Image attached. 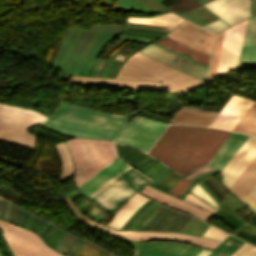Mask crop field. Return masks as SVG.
<instances>
[{
    "instance_id": "1",
    "label": "crop field",
    "mask_w": 256,
    "mask_h": 256,
    "mask_svg": "<svg viewBox=\"0 0 256 256\" xmlns=\"http://www.w3.org/2000/svg\"><path fill=\"white\" fill-rule=\"evenodd\" d=\"M229 133L210 128L170 125L148 153L185 174L207 164Z\"/></svg>"
},
{
    "instance_id": "2",
    "label": "crop field",
    "mask_w": 256,
    "mask_h": 256,
    "mask_svg": "<svg viewBox=\"0 0 256 256\" xmlns=\"http://www.w3.org/2000/svg\"><path fill=\"white\" fill-rule=\"evenodd\" d=\"M124 124L125 116L103 114L62 104L41 125L74 137L113 140Z\"/></svg>"
},
{
    "instance_id": "3",
    "label": "crop field",
    "mask_w": 256,
    "mask_h": 256,
    "mask_svg": "<svg viewBox=\"0 0 256 256\" xmlns=\"http://www.w3.org/2000/svg\"><path fill=\"white\" fill-rule=\"evenodd\" d=\"M75 165L76 187L116 156L113 143L74 139L66 141Z\"/></svg>"
},
{
    "instance_id": "4",
    "label": "crop field",
    "mask_w": 256,
    "mask_h": 256,
    "mask_svg": "<svg viewBox=\"0 0 256 256\" xmlns=\"http://www.w3.org/2000/svg\"><path fill=\"white\" fill-rule=\"evenodd\" d=\"M46 117L25 109L0 104V141L34 149L36 139L26 130Z\"/></svg>"
},
{
    "instance_id": "5",
    "label": "crop field",
    "mask_w": 256,
    "mask_h": 256,
    "mask_svg": "<svg viewBox=\"0 0 256 256\" xmlns=\"http://www.w3.org/2000/svg\"><path fill=\"white\" fill-rule=\"evenodd\" d=\"M150 181L131 167L91 199L103 208L115 211L127 198Z\"/></svg>"
},
{
    "instance_id": "6",
    "label": "crop field",
    "mask_w": 256,
    "mask_h": 256,
    "mask_svg": "<svg viewBox=\"0 0 256 256\" xmlns=\"http://www.w3.org/2000/svg\"><path fill=\"white\" fill-rule=\"evenodd\" d=\"M3 236L16 256H63L48 248L37 234L0 220Z\"/></svg>"
},
{
    "instance_id": "7",
    "label": "crop field",
    "mask_w": 256,
    "mask_h": 256,
    "mask_svg": "<svg viewBox=\"0 0 256 256\" xmlns=\"http://www.w3.org/2000/svg\"><path fill=\"white\" fill-rule=\"evenodd\" d=\"M92 224L98 226L103 231L115 237H122L126 239L137 240V241L174 240V241L188 242V243L196 244V245L203 246L210 249H213L215 246H217L220 243L218 241L186 235V234L154 233V232H143V231H115L110 228L104 227L94 221L92 222Z\"/></svg>"
},
{
    "instance_id": "8",
    "label": "crop field",
    "mask_w": 256,
    "mask_h": 256,
    "mask_svg": "<svg viewBox=\"0 0 256 256\" xmlns=\"http://www.w3.org/2000/svg\"><path fill=\"white\" fill-rule=\"evenodd\" d=\"M168 36L210 56L214 34L184 21Z\"/></svg>"
},
{
    "instance_id": "9",
    "label": "crop field",
    "mask_w": 256,
    "mask_h": 256,
    "mask_svg": "<svg viewBox=\"0 0 256 256\" xmlns=\"http://www.w3.org/2000/svg\"><path fill=\"white\" fill-rule=\"evenodd\" d=\"M245 21L225 30L216 74L222 70L236 68Z\"/></svg>"
},
{
    "instance_id": "10",
    "label": "crop field",
    "mask_w": 256,
    "mask_h": 256,
    "mask_svg": "<svg viewBox=\"0 0 256 256\" xmlns=\"http://www.w3.org/2000/svg\"><path fill=\"white\" fill-rule=\"evenodd\" d=\"M130 167L121 159L116 158L80 185L79 189L82 194L91 198Z\"/></svg>"
},
{
    "instance_id": "11",
    "label": "crop field",
    "mask_w": 256,
    "mask_h": 256,
    "mask_svg": "<svg viewBox=\"0 0 256 256\" xmlns=\"http://www.w3.org/2000/svg\"><path fill=\"white\" fill-rule=\"evenodd\" d=\"M256 155V136L250 135L222 171L224 184L229 188Z\"/></svg>"
},
{
    "instance_id": "12",
    "label": "crop field",
    "mask_w": 256,
    "mask_h": 256,
    "mask_svg": "<svg viewBox=\"0 0 256 256\" xmlns=\"http://www.w3.org/2000/svg\"><path fill=\"white\" fill-rule=\"evenodd\" d=\"M202 249L173 242L137 244L135 256H195Z\"/></svg>"
},
{
    "instance_id": "13",
    "label": "crop field",
    "mask_w": 256,
    "mask_h": 256,
    "mask_svg": "<svg viewBox=\"0 0 256 256\" xmlns=\"http://www.w3.org/2000/svg\"><path fill=\"white\" fill-rule=\"evenodd\" d=\"M166 125V123L144 117L125 144L147 151Z\"/></svg>"
},
{
    "instance_id": "14",
    "label": "crop field",
    "mask_w": 256,
    "mask_h": 256,
    "mask_svg": "<svg viewBox=\"0 0 256 256\" xmlns=\"http://www.w3.org/2000/svg\"><path fill=\"white\" fill-rule=\"evenodd\" d=\"M252 103L253 101L245 98L232 96L221 113L219 112L220 114L209 126L232 130Z\"/></svg>"
},
{
    "instance_id": "15",
    "label": "crop field",
    "mask_w": 256,
    "mask_h": 256,
    "mask_svg": "<svg viewBox=\"0 0 256 256\" xmlns=\"http://www.w3.org/2000/svg\"><path fill=\"white\" fill-rule=\"evenodd\" d=\"M140 51L205 81L207 72L206 69L168 51H165L153 44L146 46Z\"/></svg>"
},
{
    "instance_id": "16",
    "label": "crop field",
    "mask_w": 256,
    "mask_h": 256,
    "mask_svg": "<svg viewBox=\"0 0 256 256\" xmlns=\"http://www.w3.org/2000/svg\"><path fill=\"white\" fill-rule=\"evenodd\" d=\"M140 193L158 201L161 202L167 206H170L174 209L180 210L182 212L188 213L190 215H193L197 218H200L204 221H207L208 218L211 216V213L198 208L194 205H191L189 203H186L180 199H177L175 197L169 196L161 191H158L148 185L145 186V189L141 191Z\"/></svg>"
},
{
    "instance_id": "17",
    "label": "crop field",
    "mask_w": 256,
    "mask_h": 256,
    "mask_svg": "<svg viewBox=\"0 0 256 256\" xmlns=\"http://www.w3.org/2000/svg\"><path fill=\"white\" fill-rule=\"evenodd\" d=\"M256 67V16L246 21L237 68Z\"/></svg>"
},
{
    "instance_id": "18",
    "label": "crop field",
    "mask_w": 256,
    "mask_h": 256,
    "mask_svg": "<svg viewBox=\"0 0 256 256\" xmlns=\"http://www.w3.org/2000/svg\"><path fill=\"white\" fill-rule=\"evenodd\" d=\"M249 135L231 132L208 165L222 171Z\"/></svg>"
},
{
    "instance_id": "19",
    "label": "crop field",
    "mask_w": 256,
    "mask_h": 256,
    "mask_svg": "<svg viewBox=\"0 0 256 256\" xmlns=\"http://www.w3.org/2000/svg\"><path fill=\"white\" fill-rule=\"evenodd\" d=\"M217 113L182 107L170 123L207 126Z\"/></svg>"
},
{
    "instance_id": "20",
    "label": "crop field",
    "mask_w": 256,
    "mask_h": 256,
    "mask_svg": "<svg viewBox=\"0 0 256 256\" xmlns=\"http://www.w3.org/2000/svg\"><path fill=\"white\" fill-rule=\"evenodd\" d=\"M231 195H229V196H227V197H225L224 199L225 200H227V201H229L231 204H232V206L235 208V209H237V207L229 200V199H231L239 208H240V206L235 202V201H237L236 199H234L232 196V198L235 200H233L231 197H230ZM229 198V199H228ZM224 199H222L221 200V203H220V205H219V208L218 209H220L222 212H224L225 214H227L228 216H230L231 218H233L235 221H237L239 224H241L242 226L243 225H245V224H247L245 221H243L241 218H240V216L236 213V211L231 207V205L228 203V202H226ZM238 202V201H237ZM239 204H241L240 202H238ZM242 205V204H241ZM242 206H244V205H242ZM217 209V211L220 213V214H222L223 216H225L227 219H229L231 222H233L234 224H236L238 227H242V226H240L238 223H236L234 220H232L230 217H228L227 215H225L224 213H222L221 211H219ZM217 212V213H218ZM216 213V212H215ZM216 213V214H217ZM221 215V216H222ZM220 216V215H219ZM220 216V217H221ZM222 216V217H223ZM221 217V218H222ZM224 219V218H223ZM227 221V220H226ZM229 222V221H228ZM230 223V222H229ZM230 224H232V223H230ZM233 225V224H232ZM234 226V225H233ZM235 228H237L236 226H234ZM243 228H245V229H247V230H250V231H254V232H256V230H254V229H251V228H249V227H247V226H243ZM237 229H239V228H237ZM242 229V228H241ZM240 229V230H241ZM239 230V231H240ZM246 230V231H247ZM239 231H237V233H239V234H242V235H244V236H246V237H249V238H251V239H254V240H256V237H253V236H250V235H248V234H245V233H242V232H239ZM245 231V232H246ZM237 233H235V236H237V237H240V238H242V239H244V240H247V241H249V242H252V243H254V244H256V241H253V240H251V239H249V238H246V237H244V236H241V235H239V234H237ZM249 233V232H248ZM252 233V232H251ZM254 234V233H253Z\"/></svg>"
},
{
    "instance_id": "21",
    "label": "crop field",
    "mask_w": 256,
    "mask_h": 256,
    "mask_svg": "<svg viewBox=\"0 0 256 256\" xmlns=\"http://www.w3.org/2000/svg\"><path fill=\"white\" fill-rule=\"evenodd\" d=\"M256 184V156L230 188L243 200Z\"/></svg>"
},
{
    "instance_id": "22",
    "label": "crop field",
    "mask_w": 256,
    "mask_h": 256,
    "mask_svg": "<svg viewBox=\"0 0 256 256\" xmlns=\"http://www.w3.org/2000/svg\"><path fill=\"white\" fill-rule=\"evenodd\" d=\"M72 82L161 90L159 83H152V82L84 78V77H76V76H74V78L72 79Z\"/></svg>"
},
{
    "instance_id": "23",
    "label": "crop field",
    "mask_w": 256,
    "mask_h": 256,
    "mask_svg": "<svg viewBox=\"0 0 256 256\" xmlns=\"http://www.w3.org/2000/svg\"><path fill=\"white\" fill-rule=\"evenodd\" d=\"M148 199L135 194L118 210L113 220L108 224L115 228H120L129 217Z\"/></svg>"
},
{
    "instance_id": "24",
    "label": "crop field",
    "mask_w": 256,
    "mask_h": 256,
    "mask_svg": "<svg viewBox=\"0 0 256 256\" xmlns=\"http://www.w3.org/2000/svg\"><path fill=\"white\" fill-rule=\"evenodd\" d=\"M158 44L172 50L175 51L189 59H192L202 65L208 66V62H209V56L196 51L184 44H181L171 38H167L161 42H159Z\"/></svg>"
},
{
    "instance_id": "25",
    "label": "crop field",
    "mask_w": 256,
    "mask_h": 256,
    "mask_svg": "<svg viewBox=\"0 0 256 256\" xmlns=\"http://www.w3.org/2000/svg\"><path fill=\"white\" fill-rule=\"evenodd\" d=\"M248 3L250 0H211L203 5L221 18Z\"/></svg>"
},
{
    "instance_id": "26",
    "label": "crop field",
    "mask_w": 256,
    "mask_h": 256,
    "mask_svg": "<svg viewBox=\"0 0 256 256\" xmlns=\"http://www.w3.org/2000/svg\"><path fill=\"white\" fill-rule=\"evenodd\" d=\"M183 21L182 18L172 14H164L160 16H156L154 18H142V17H129L127 22H141L148 24H156V25H164L174 27L176 24Z\"/></svg>"
},
{
    "instance_id": "27",
    "label": "crop field",
    "mask_w": 256,
    "mask_h": 256,
    "mask_svg": "<svg viewBox=\"0 0 256 256\" xmlns=\"http://www.w3.org/2000/svg\"><path fill=\"white\" fill-rule=\"evenodd\" d=\"M243 242L229 236L218 247H216L208 256H230Z\"/></svg>"
},
{
    "instance_id": "28",
    "label": "crop field",
    "mask_w": 256,
    "mask_h": 256,
    "mask_svg": "<svg viewBox=\"0 0 256 256\" xmlns=\"http://www.w3.org/2000/svg\"><path fill=\"white\" fill-rule=\"evenodd\" d=\"M256 124V102L249 108L242 119L234 127V131L249 133Z\"/></svg>"
},
{
    "instance_id": "29",
    "label": "crop field",
    "mask_w": 256,
    "mask_h": 256,
    "mask_svg": "<svg viewBox=\"0 0 256 256\" xmlns=\"http://www.w3.org/2000/svg\"><path fill=\"white\" fill-rule=\"evenodd\" d=\"M30 216L31 214L27 213V212H24L23 216H22V219L20 221V225H24V226H27L28 222H29V219H30ZM35 216H31V219H30V222L29 224L31 223V221L34 219ZM39 221V218L35 217V219L32 221V223L29 225L28 228L32 229L34 228V226L36 225V223ZM47 222L43 221L40 219V221L38 222V224L35 226L34 230L38 233L41 232V230L43 229L44 225L46 224ZM52 225L50 224H46L43 231L40 233L41 237L43 238V236L46 234V232L50 229Z\"/></svg>"
},
{
    "instance_id": "30",
    "label": "crop field",
    "mask_w": 256,
    "mask_h": 256,
    "mask_svg": "<svg viewBox=\"0 0 256 256\" xmlns=\"http://www.w3.org/2000/svg\"><path fill=\"white\" fill-rule=\"evenodd\" d=\"M60 156L62 159V164H63V169L61 173L62 178H71L72 177V163H71V158L69 156L68 150L66 145L62 142L60 144L55 145Z\"/></svg>"
},
{
    "instance_id": "31",
    "label": "crop field",
    "mask_w": 256,
    "mask_h": 256,
    "mask_svg": "<svg viewBox=\"0 0 256 256\" xmlns=\"http://www.w3.org/2000/svg\"><path fill=\"white\" fill-rule=\"evenodd\" d=\"M209 169H211V168L205 166L201 169L196 170L195 172H193L192 174L188 175L185 178L190 180V179L196 177L197 175L201 174L202 172L209 170ZM185 178L182 177L180 179V181L168 193L180 198L183 190L191 183L190 181L186 180Z\"/></svg>"
},
{
    "instance_id": "32",
    "label": "crop field",
    "mask_w": 256,
    "mask_h": 256,
    "mask_svg": "<svg viewBox=\"0 0 256 256\" xmlns=\"http://www.w3.org/2000/svg\"><path fill=\"white\" fill-rule=\"evenodd\" d=\"M115 146H116L118 156L123 158V159L129 157L130 155H132V154H134L135 152L138 151V150L133 149V148L123 147V146H119V145H116V144H115ZM140 153H142V152L139 151V152L135 153L134 155L130 156L129 158H127L125 160L128 161V160L134 158L135 156H137ZM147 157H149V156L142 153V154L138 155L136 158H134L133 160L129 161V163L134 165V164L140 162L141 160H143Z\"/></svg>"
},
{
    "instance_id": "33",
    "label": "crop field",
    "mask_w": 256,
    "mask_h": 256,
    "mask_svg": "<svg viewBox=\"0 0 256 256\" xmlns=\"http://www.w3.org/2000/svg\"><path fill=\"white\" fill-rule=\"evenodd\" d=\"M223 33H224V31L217 34L215 37V42H214L212 58H211V63H210L207 80L211 79L215 75L219 52H220L221 43H222V38H223Z\"/></svg>"
},
{
    "instance_id": "34",
    "label": "crop field",
    "mask_w": 256,
    "mask_h": 256,
    "mask_svg": "<svg viewBox=\"0 0 256 256\" xmlns=\"http://www.w3.org/2000/svg\"><path fill=\"white\" fill-rule=\"evenodd\" d=\"M250 16V4L236 10L235 12L221 18L228 24L232 25L246 17Z\"/></svg>"
},
{
    "instance_id": "35",
    "label": "crop field",
    "mask_w": 256,
    "mask_h": 256,
    "mask_svg": "<svg viewBox=\"0 0 256 256\" xmlns=\"http://www.w3.org/2000/svg\"><path fill=\"white\" fill-rule=\"evenodd\" d=\"M142 118H143L142 116L134 117V119L131 122H129L125 125V127L122 129V131L119 133V135L116 137V139L114 141L124 143L125 140L128 138V136L135 129V127L142 120Z\"/></svg>"
},
{
    "instance_id": "36",
    "label": "crop field",
    "mask_w": 256,
    "mask_h": 256,
    "mask_svg": "<svg viewBox=\"0 0 256 256\" xmlns=\"http://www.w3.org/2000/svg\"><path fill=\"white\" fill-rule=\"evenodd\" d=\"M112 256L111 254L107 253L103 249L89 243L84 242L82 250L77 256Z\"/></svg>"
},
{
    "instance_id": "37",
    "label": "crop field",
    "mask_w": 256,
    "mask_h": 256,
    "mask_svg": "<svg viewBox=\"0 0 256 256\" xmlns=\"http://www.w3.org/2000/svg\"><path fill=\"white\" fill-rule=\"evenodd\" d=\"M189 193L193 194L194 196L198 197L199 199L203 200L207 204L217 209L218 204L212 199V197L203 189V187L199 183L196 184Z\"/></svg>"
},
{
    "instance_id": "38",
    "label": "crop field",
    "mask_w": 256,
    "mask_h": 256,
    "mask_svg": "<svg viewBox=\"0 0 256 256\" xmlns=\"http://www.w3.org/2000/svg\"><path fill=\"white\" fill-rule=\"evenodd\" d=\"M86 201H88V199L87 200H85V201H83L82 203H80V204H78L76 207H77V209L80 207V206H82ZM91 201L89 200L87 203H85L81 208H79V210L81 211L85 206H87L89 203H90ZM95 206V204H93L92 202L87 206V207H85L81 212H83V213H87V212H89L93 207ZM99 209H101V208H99V207H97V206H95L89 213H87L86 215H88V216H92V215H94ZM106 213V211H104V210H100V211H98L94 216H92V218H95V219H97V220H99L104 214Z\"/></svg>"
},
{
    "instance_id": "39",
    "label": "crop field",
    "mask_w": 256,
    "mask_h": 256,
    "mask_svg": "<svg viewBox=\"0 0 256 256\" xmlns=\"http://www.w3.org/2000/svg\"><path fill=\"white\" fill-rule=\"evenodd\" d=\"M231 256H256V248L244 243Z\"/></svg>"
},
{
    "instance_id": "40",
    "label": "crop field",
    "mask_w": 256,
    "mask_h": 256,
    "mask_svg": "<svg viewBox=\"0 0 256 256\" xmlns=\"http://www.w3.org/2000/svg\"><path fill=\"white\" fill-rule=\"evenodd\" d=\"M227 235L228 234H226L220 230H217L211 226H209L208 229L203 234V236L218 239V240H223Z\"/></svg>"
},
{
    "instance_id": "41",
    "label": "crop field",
    "mask_w": 256,
    "mask_h": 256,
    "mask_svg": "<svg viewBox=\"0 0 256 256\" xmlns=\"http://www.w3.org/2000/svg\"><path fill=\"white\" fill-rule=\"evenodd\" d=\"M203 27H205V28H207V29H209V30H211V31H213V32H215V33H218V32H220V31H222V30L228 28L229 26L226 25V24H225L223 21H221L220 19H218V20H216V21H214V22H212V23H209V24H207V25H205V26H203Z\"/></svg>"
},
{
    "instance_id": "42",
    "label": "crop field",
    "mask_w": 256,
    "mask_h": 256,
    "mask_svg": "<svg viewBox=\"0 0 256 256\" xmlns=\"http://www.w3.org/2000/svg\"><path fill=\"white\" fill-rule=\"evenodd\" d=\"M65 232L61 231L60 229L57 228L55 233L52 235V237L49 239L47 244H49L52 248L55 249L57 244L60 242L62 237L64 236Z\"/></svg>"
},
{
    "instance_id": "43",
    "label": "crop field",
    "mask_w": 256,
    "mask_h": 256,
    "mask_svg": "<svg viewBox=\"0 0 256 256\" xmlns=\"http://www.w3.org/2000/svg\"><path fill=\"white\" fill-rule=\"evenodd\" d=\"M17 208H18V207H16V206L13 205L12 210L10 211V213H9L7 219H6L7 221H10V222L13 221V217H14V214H15ZM23 212H24L23 210L18 209V211H17V213H16V215H15V217H14V221H13L14 223H17V224L19 223Z\"/></svg>"
},
{
    "instance_id": "44",
    "label": "crop field",
    "mask_w": 256,
    "mask_h": 256,
    "mask_svg": "<svg viewBox=\"0 0 256 256\" xmlns=\"http://www.w3.org/2000/svg\"><path fill=\"white\" fill-rule=\"evenodd\" d=\"M185 201L193 203L195 205L201 206L203 208H206L210 211H215V209L211 208L210 206H208L207 204L203 203L202 201H200L199 199H197L196 197L192 196L191 194H187Z\"/></svg>"
},
{
    "instance_id": "45",
    "label": "crop field",
    "mask_w": 256,
    "mask_h": 256,
    "mask_svg": "<svg viewBox=\"0 0 256 256\" xmlns=\"http://www.w3.org/2000/svg\"><path fill=\"white\" fill-rule=\"evenodd\" d=\"M244 201L256 211V186L253 188V190L249 193Z\"/></svg>"
},
{
    "instance_id": "46",
    "label": "crop field",
    "mask_w": 256,
    "mask_h": 256,
    "mask_svg": "<svg viewBox=\"0 0 256 256\" xmlns=\"http://www.w3.org/2000/svg\"><path fill=\"white\" fill-rule=\"evenodd\" d=\"M171 173H172V172H171ZM173 173H174V172H173ZM169 174H170V173H169ZM169 174H168V175H169ZM174 174H175V173H174ZM174 174H173V175H174ZM168 175H167V176H168ZM170 175H171V174H170ZM170 175H169V176H170ZM176 175H177V174H175L173 177H175ZM177 176H178V175H177ZM177 176H176V177H177ZM170 177H171V176H170ZM170 177H169V178H170ZM173 177H171L170 179L168 178L169 180L167 179V180H168L167 182L164 181L165 183L163 182L164 184L162 183L163 185L161 184V185H162L161 187H163L166 183H168ZM176 177H175V178H176ZM175 178H174V179H175ZM179 178H180V176H179L175 181L172 179L174 182L171 180L173 183L170 181V182L172 183V184H171V183L169 182L171 185L168 183L170 186H169L168 184H166L165 186L168 185V186H169V187L167 186L168 188L165 187V186H164L165 188L163 187L164 189L161 188V187H159V186H158V187H159V189L161 188V190L163 189V191L167 188V189L165 190V192H166ZM163 179H164V178H163ZM163 179H162V180H163ZM165 179H166V178H165ZM165 179H164V180H165ZM161 182H162V181H161ZM161 182H160V183H161ZM160 183H159V184H160ZM159 184H158V185H159ZM156 185H157V184H156ZM156 185H155V186H156ZM155 186H154V187H155ZM173 186H174V185H173ZM173 186H172V187H173ZM158 187H157V188H158ZM172 187H171V188H172ZM171 188H170V189H171ZM170 189H169V190H170ZM169 190H168V191H169ZM168 191H167V192H168Z\"/></svg>"
},
{
    "instance_id": "47",
    "label": "crop field",
    "mask_w": 256,
    "mask_h": 256,
    "mask_svg": "<svg viewBox=\"0 0 256 256\" xmlns=\"http://www.w3.org/2000/svg\"><path fill=\"white\" fill-rule=\"evenodd\" d=\"M216 171H217V170H216ZM216 171L213 172V173H211V174H209V175H207V176H205V177H203V178H201V179H198V180H196V181H194V182L198 183L199 181L203 180L204 178H206V177H208V176H210V175H213V174L217 173ZM194 185H195V183L192 182V183L185 189L184 193H183L182 196H181V199H184L185 195L188 193V191H189Z\"/></svg>"
},
{
    "instance_id": "48",
    "label": "crop field",
    "mask_w": 256,
    "mask_h": 256,
    "mask_svg": "<svg viewBox=\"0 0 256 256\" xmlns=\"http://www.w3.org/2000/svg\"><path fill=\"white\" fill-rule=\"evenodd\" d=\"M153 201L149 202L147 205H145L140 212L132 219V221L127 225V227L125 229H129L130 226L135 222V220L147 209V207L152 204Z\"/></svg>"
},
{
    "instance_id": "49",
    "label": "crop field",
    "mask_w": 256,
    "mask_h": 256,
    "mask_svg": "<svg viewBox=\"0 0 256 256\" xmlns=\"http://www.w3.org/2000/svg\"><path fill=\"white\" fill-rule=\"evenodd\" d=\"M78 237L76 238V241H75V243H74V245H73V247L70 249V251L67 253L68 255H70L71 254V252L73 251V249L75 248V246H76V244H77V242H78ZM81 239H79V242H78V244H77V246H76V248H75V250L72 252V254L70 255V256H73L75 253H76V251L78 250V248H79V246H80V244H81Z\"/></svg>"
},
{
    "instance_id": "50",
    "label": "crop field",
    "mask_w": 256,
    "mask_h": 256,
    "mask_svg": "<svg viewBox=\"0 0 256 256\" xmlns=\"http://www.w3.org/2000/svg\"><path fill=\"white\" fill-rule=\"evenodd\" d=\"M147 159H148V158H147ZM153 159H154V158H152V157L149 158L148 160L145 159L146 161L143 160L144 162L141 161V162H143V163L140 162L141 164L138 163V164H140V165L137 164L138 166L136 165L137 167H135V166H134V167L138 169V168L142 167L143 165L147 164L148 162H150V161L153 160ZM154 160H155V159H154ZM150 163H151V162H150ZM147 165H148V164H147ZM147 165H145V166H147ZM145 166H143V167L140 168L139 170L143 169Z\"/></svg>"
},
{
    "instance_id": "51",
    "label": "crop field",
    "mask_w": 256,
    "mask_h": 256,
    "mask_svg": "<svg viewBox=\"0 0 256 256\" xmlns=\"http://www.w3.org/2000/svg\"><path fill=\"white\" fill-rule=\"evenodd\" d=\"M56 230V227H53L48 231V233L44 236V240L47 242V240L51 237V235L53 234V232Z\"/></svg>"
},
{
    "instance_id": "52",
    "label": "crop field",
    "mask_w": 256,
    "mask_h": 256,
    "mask_svg": "<svg viewBox=\"0 0 256 256\" xmlns=\"http://www.w3.org/2000/svg\"><path fill=\"white\" fill-rule=\"evenodd\" d=\"M124 33H129V34H138V35H143V36H149V37H156V38H160V36L147 35V34H140V33H142V32H140V33L124 32ZM129 34H125V35H129ZM148 34H149V33H148ZM138 35H136V36H138ZM161 35H163V34H161ZM132 36H135V35H132ZM143 36H141V37H143ZM149 37H148V38H149ZM156 38H153V39H156Z\"/></svg>"
},
{
    "instance_id": "53",
    "label": "crop field",
    "mask_w": 256,
    "mask_h": 256,
    "mask_svg": "<svg viewBox=\"0 0 256 256\" xmlns=\"http://www.w3.org/2000/svg\"><path fill=\"white\" fill-rule=\"evenodd\" d=\"M79 194H80V193L78 192V190L68 193V195H69L71 201H72L74 198H76Z\"/></svg>"
},
{
    "instance_id": "54",
    "label": "crop field",
    "mask_w": 256,
    "mask_h": 256,
    "mask_svg": "<svg viewBox=\"0 0 256 256\" xmlns=\"http://www.w3.org/2000/svg\"><path fill=\"white\" fill-rule=\"evenodd\" d=\"M209 253L210 251L203 249L197 256H207Z\"/></svg>"
},
{
    "instance_id": "55",
    "label": "crop field",
    "mask_w": 256,
    "mask_h": 256,
    "mask_svg": "<svg viewBox=\"0 0 256 256\" xmlns=\"http://www.w3.org/2000/svg\"><path fill=\"white\" fill-rule=\"evenodd\" d=\"M11 205H12L11 203L7 202V209H6V214H5L4 219H6V217H7V215H8V212H9V209H10Z\"/></svg>"
},
{
    "instance_id": "56",
    "label": "crop field",
    "mask_w": 256,
    "mask_h": 256,
    "mask_svg": "<svg viewBox=\"0 0 256 256\" xmlns=\"http://www.w3.org/2000/svg\"><path fill=\"white\" fill-rule=\"evenodd\" d=\"M158 161H154V162H152L150 165H148L146 168H144L142 171H147L149 168H151L155 163H157Z\"/></svg>"
},
{
    "instance_id": "57",
    "label": "crop field",
    "mask_w": 256,
    "mask_h": 256,
    "mask_svg": "<svg viewBox=\"0 0 256 256\" xmlns=\"http://www.w3.org/2000/svg\"><path fill=\"white\" fill-rule=\"evenodd\" d=\"M251 134H256V126L251 130Z\"/></svg>"
},
{
    "instance_id": "58",
    "label": "crop field",
    "mask_w": 256,
    "mask_h": 256,
    "mask_svg": "<svg viewBox=\"0 0 256 256\" xmlns=\"http://www.w3.org/2000/svg\"><path fill=\"white\" fill-rule=\"evenodd\" d=\"M152 212H153V210L151 211V213H152ZM151 213H150V214H151ZM150 214L148 215V217L150 216ZM148 217H147V218H148ZM147 218H146V219H147ZM146 219H145V220H146ZM145 220H144V221H145ZM143 223H144V222H143ZM143 223H142V224H143ZM142 224H141V225H142ZM141 225H140V226H141ZM140 226H139V228H140ZM139 228H138V229H139Z\"/></svg>"
},
{
    "instance_id": "59",
    "label": "crop field",
    "mask_w": 256,
    "mask_h": 256,
    "mask_svg": "<svg viewBox=\"0 0 256 256\" xmlns=\"http://www.w3.org/2000/svg\"><path fill=\"white\" fill-rule=\"evenodd\" d=\"M82 243H83V241H82ZM81 246H82V244H81ZM80 249H81V247H80ZM80 249L78 250V252L74 256H76L79 253Z\"/></svg>"
},
{
    "instance_id": "60",
    "label": "crop field",
    "mask_w": 256,
    "mask_h": 256,
    "mask_svg": "<svg viewBox=\"0 0 256 256\" xmlns=\"http://www.w3.org/2000/svg\"><path fill=\"white\" fill-rule=\"evenodd\" d=\"M0 199H2V198L0 197Z\"/></svg>"
},
{
    "instance_id": "61",
    "label": "crop field",
    "mask_w": 256,
    "mask_h": 256,
    "mask_svg": "<svg viewBox=\"0 0 256 256\" xmlns=\"http://www.w3.org/2000/svg\"><path fill=\"white\" fill-rule=\"evenodd\" d=\"M1 256V255H0Z\"/></svg>"
}]
</instances>
